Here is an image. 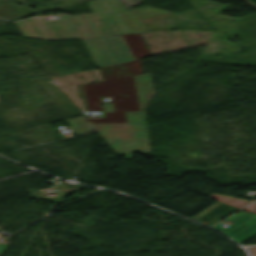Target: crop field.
<instances>
[{"instance_id":"obj_1","label":"crop field","mask_w":256,"mask_h":256,"mask_svg":"<svg viewBox=\"0 0 256 256\" xmlns=\"http://www.w3.org/2000/svg\"><path fill=\"white\" fill-rule=\"evenodd\" d=\"M87 3L93 14L83 15V18L82 15H61L55 22L28 19L16 24L23 36L48 39L74 38L143 32L145 29L140 20L168 13L148 6L126 10L121 0H92ZM76 23L80 25L77 26ZM72 28L76 31L73 32Z\"/></svg>"},{"instance_id":"obj_2","label":"crop field","mask_w":256,"mask_h":256,"mask_svg":"<svg viewBox=\"0 0 256 256\" xmlns=\"http://www.w3.org/2000/svg\"><path fill=\"white\" fill-rule=\"evenodd\" d=\"M136 61L103 67L105 81L78 86L79 97H86L87 111L100 108V96H112L115 112L106 118H88L91 123H127L124 111H140L133 75L142 74L140 59L151 56L140 34L123 35Z\"/></svg>"},{"instance_id":"obj_3","label":"crop field","mask_w":256,"mask_h":256,"mask_svg":"<svg viewBox=\"0 0 256 256\" xmlns=\"http://www.w3.org/2000/svg\"><path fill=\"white\" fill-rule=\"evenodd\" d=\"M141 112H125L128 124H91L113 152L130 157L131 151L150 153L144 110L154 91L150 75L134 76Z\"/></svg>"},{"instance_id":"obj_4","label":"crop field","mask_w":256,"mask_h":256,"mask_svg":"<svg viewBox=\"0 0 256 256\" xmlns=\"http://www.w3.org/2000/svg\"><path fill=\"white\" fill-rule=\"evenodd\" d=\"M98 67L134 60L122 36L83 39Z\"/></svg>"},{"instance_id":"obj_5","label":"crop field","mask_w":256,"mask_h":256,"mask_svg":"<svg viewBox=\"0 0 256 256\" xmlns=\"http://www.w3.org/2000/svg\"><path fill=\"white\" fill-rule=\"evenodd\" d=\"M250 216L254 217L249 219ZM227 220L234 224L227 228L216 224L217 226L213 228L225 233L238 243L256 234V215L241 212L227 218Z\"/></svg>"},{"instance_id":"obj_6","label":"crop field","mask_w":256,"mask_h":256,"mask_svg":"<svg viewBox=\"0 0 256 256\" xmlns=\"http://www.w3.org/2000/svg\"><path fill=\"white\" fill-rule=\"evenodd\" d=\"M66 121L73 127L77 135L88 132V123L85 120V118L77 117V118L67 119ZM79 122H82V124H80ZM80 125H82L83 128H81Z\"/></svg>"},{"instance_id":"obj_7","label":"crop field","mask_w":256,"mask_h":256,"mask_svg":"<svg viewBox=\"0 0 256 256\" xmlns=\"http://www.w3.org/2000/svg\"><path fill=\"white\" fill-rule=\"evenodd\" d=\"M8 246V244L0 243V254H2Z\"/></svg>"},{"instance_id":"obj_8","label":"crop field","mask_w":256,"mask_h":256,"mask_svg":"<svg viewBox=\"0 0 256 256\" xmlns=\"http://www.w3.org/2000/svg\"><path fill=\"white\" fill-rule=\"evenodd\" d=\"M0 239H1V236H0Z\"/></svg>"}]
</instances>
